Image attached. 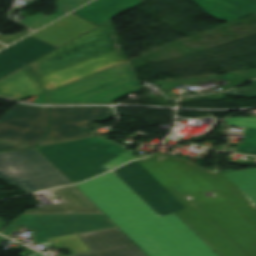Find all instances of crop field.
<instances>
[{"instance_id":"8a807250","label":"crop field","mask_w":256,"mask_h":256,"mask_svg":"<svg viewBox=\"0 0 256 256\" xmlns=\"http://www.w3.org/2000/svg\"><path fill=\"white\" fill-rule=\"evenodd\" d=\"M114 173L157 215L176 212L219 256H256V206L220 173L160 155Z\"/></svg>"},{"instance_id":"ac0d7876","label":"crop field","mask_w":256,"mask_h":256,"mask_svg":"<svg viewBox=\"0 0 256 256\" xmlns=\"http://www.w3.org/2000/svg\"><path fill=\"white\" fill-rule=\"evenodd\" d=\"M76 187L149 256H218L176 213L158 217L111 172Z\"/></svg>"},{"instance_id":"34b2d1b8","label":"crop field","mask_w":256,"mask_h":256,"mask_svg":"<svg viewBox=\"0 0 256 256\" xmlns=\"http://www.w3.org/2000/svg\"><path fill=\"white\" fill-rule=\"evenodd\" d=\"M126 60L109 21L29 65L48 91Z\"/></svg>"},{"instance_id":"412701ff","label":"crop field","mask_w":256,"mask_h":256,"mask_svg":"<svg viewBox=\"0 0 256 256\" xmlns=\"http://www.w3.org/2000/svg\"><path fill=\"white\" fill-rule=\"evenodd\" d=\"M140 88L129 60L48 91V104H111Z\"/></svg>"},{"instance_id":"f4fd0767","label":"crop field","mask_w":256,"mask_h":256,"mask_svg":"<svg viewBox=\"0 0 256 256\" xmlns=\"http://www.w3.org/2000/svg\"><path fill=\"white\" fill-rule=\"evenodd\" d=\"M36 149L72 184L108 171L101 166L125 150L96 137Z\"/></svg>"},{"instance_id":"dd49c442","label":"crop field","mask_w":256,"mask_h":256,"mask_svg":"<svg viewBox=\"0 0 256 256\" xmlns=\"http://www.w3.org/2000/svg\"><path fill=\"white\" fill-rule=\"evenodd\" d=\"M0 180L29 193L71 184L36 149L0 153Z\"/></svg>"},{"instance_id":"e52e79f7","label":"crop field","mask_w":256,"mask_h":256,"mask_svg":"<svg viewBox=\"0 0 256 256\" xmlns=\"http://www.w3.org/2000/svg\"><path fill=\"white\" fill-rule=\"evenodd\" d=\"M107 218L103 214L22 215L1 234L8 236L24 227L34 233L36 243H43L55 237L115 228Z\"/></svg>"},{"instance_id":"d8731c3e","label":"crop field","mask_w":256,"mask_h":256,"mask_svg":"<svg viewBox=\"0 0 256 256\" xmlns=\"http://www.w3.org/2000/svg\"><path fill=\"white\" fill-rule=\"evenodd\" d=\"M50 132L38 145L71 141L94 135L85 127L87 123L114 118L111 107H49Z\"/></svg>"},{"instance_id":"5a996713","label":"crop field","mask_w":256,"mask_h":256,"mask_svg":"<svg viewBox=\"0 0 256 256\" xmlns=\"http://www.w3.org/2000/svg\"><path fill=\"white\" fill-rule=\"evenodd\" d=\"M48 109L19 104L0 122V140L33 147L47 132Z\"/></svg>"},{"instance_id":"3316defc","label":"crop field","mask_w":256,"mask_h":256,"mask_svg":"<svg viewBox=\"0 0 256 256\" xmlns=\"http://www.w3.org/2000/svg\"><path fill=\"white\" fill-rule=\"evenodd\" d=\"M78 236L90 251L69 256H146L118 228Z\"/></svg>"},{"instance_id":"28ad6ade","label":"crop field","mask_w":256,"mask_h":256,"mask_svg":"<svg viewBox=\"0 0 256 256\" xmlns=\"http://www.w3.org/2000/svg\"><path fill=\"white\" fill-rule=\"evenodd\" d=\"M57 47L32 36L0 51V78Z\"/></svg>"},{"instance_id":"d1516ede","label":"crop field","mask_w":256,"mask_h":256,"mask_svg":"<svg viewBox=\"0 0 256 256\" xmlns=\"http://www.w3.org/2000/svg\"><path fill=\"white\" fill-rule=\"evenodd\" d=\"M96 27L71 14L32 36L59 47Z\"/></svg>"},{"instance_id":"22f410ed","label":"crop field","mask_w":256,"mask_h":256,"mask_svg":"<svg viewBox=\"0 0 256 256\" xmlns=\"http://www.w3.org/2000/svg\"><path fill=\"white\" fill-rule=\"evenodd\" d=\"M43 93L36 77L27 66L0 79V97L22 101Z\"/></svg>"},{"instance_id":"cbeb9de0","label":"crop field","mask_w":256,"mask_h":256,"mask_svg":"<svg viewBox=\"0 0 256 256\" xmlns=\"http://www.w3.org/2000/svg\"><path fill=\"white\" fill-rule=\"evenodd\" d=\"M64 203L27 211L24 214L101 213L74 186L47 192Z\"/></svg>"},{"instance_id":"5142ce71","label":"crop field","mask_w":256,"mask_h":256,"mask_svg":"<svg viewBox=\"0 0 256 256\" xmlns=\"http://www.w3.org/2000/svg\"><path fill=\"white\" fill-rule=\"evenodd\" d=\"M140 3H143V1L96 0L73 13L100 26Z\"/></svg>"},{"instance_id":"d9b57169","label":"crop field","mask_w":256,"mask_h":256,"mask_svg":"<svg viewBox=\"0 0 256 256\" xmlns=\"http://www.w3.org/2000/svg\"><path fill=\"white\" fill-rule=\"evenodd\" d=\"M210 15L232 22L256 12L255 0H192Z\"/></svg>"},{"instance_id":"733c2abd","label":"crop field","mask_w":256,"mask_h":256,"mask_svg":"<svg viewBox=\"0 0 256 256\" xmlns=\"http://www.w3.org/2000/svg\"><path fill=\"white\" fill-rule=\"evenodd\" d=\"M222 175L240 187L246 196L256 205V168L224 173Z\"/></svg>"},{"instance_id":"4a817a6b","label":"crop field","mask_w":256,"mask_h":256,"mask_svg":"<svg viewBox=\"0 0 256 256\" xmlns=\"http://www.w3.org/2000/svg\"><path fill=\"white\" fill-rule=\"evenodd\" d=\"M50 242L58 249H68L70 254L85 251L73 236L51 239Z\"/></svg>"},{"instance_id":"bc2a9ffb","label":"crop field","mask_w":256,"mask_h":256,"mask_svg":"<svg viewBox=\"0 0 256 256\" xmlns=\"http://www.w3.org/2000/svg\"><path fill=\"white\" fill-rule=\"evenodd\" d=\"M245 132L247 133V137L244 140L245 142L242 143L238 149L225 150L256 155V129L245 128Z\"/></svg>"},{"instance_id":"214f88e0","label":"crop field","mask_w":256,"mask_h":256,"mask_svg":"<svg viewBox=\"0 0 256 256\" xmlns=\"http://www.w3.org/2000/svg\"><path fill=\"white\" fill-rule=\"evenodd\" d=\"M54 19H56V13H54L50 16H45L41 13H37L29 18H26V19L20 21V22L27 25L30 29L36 30V29L48 24L49 22H51Z\"/></svg>"},{"instance_id":"92a150f3","label":"crop field","mask_w":256,"mask_h":256,"mask_svg":"<svg viewBox=\"0 0 256 256\" xmlns=\"http://www.w3.org/2000/svg\"><path fill=\"white\" fill-rule=\"evenodd\" d=\"M135 154H136L135 151L126 150L123 153H121L120 155H118L117 157H115L113 160H111L110 162L105 164L103 167L111 170V169L121 165L124 162L130 161L132 159H137V157L134 156Z\"/></svg>"},{"instance_id":"dafd665d","label":"crop field","mask_w":256,"mask_h":256,"mask_svg":"<svg viewBox=\"0 0 256 256\" xmlns=\"http://www.w3.org/2000/svg\"><path fill=\"white\" fill-rule=\"evenodd\" d=\"M88 0H56L57 17L67 13L68 10L86 2Z\"/></svg>"},{"instance_id":"00972430","label":"crop field","mask_w":256,"mask_h":256,"mask_svg":"<svg viewBox=\"0 0 256 256\" xmlns=\"http://www.w3.org/2000/svg\"><path fill=\"white\" fill-rule=\"evenodd\" d=\"M224 122L231 125L256 128V118H230L224 120Z\"/></svg>"},{"instance_id":"a9b5d70f","label":"crop field","mask_w":256,"mask_h":256,"mask_svg":"<svg viewBox=\"0 0 256 256\" xmlns=\"http://www.w3.org/2000/svg\"><path fill=\"white\" fill-rule=\"evenodd\" d=\"M252 82H253V86L233 89L226 93H229L235 96H246L250 98L256 97V81H252ZM232 91H235L236 93H232Z\"/></svg>"},{"instance_id":"4177f3b9","label":"crop field","mask_w":256,"mask_h":256,"mask_svg":"<svg viewBox=\"0 0 256 256\" xmlns=\"http://www.w3.org/2000/svg\"><path fill=\"white\" fill-rule=\"evenodd\" d=\"M31 32L30 30H27L23 33H18V34H15L13 36H9V37H5L3 35H0V41L4 42L5 44H9L21 37H23L24 35H26L27 33Z\"/></svg>"},{"instance_id":"730fd06b","label":"crop field","mask_w":256,"mask_h":256,"mask_svg":"<svg viewBox=\"0 0 256 256\" xmlns=\"http://www.w3.org/2000/svg\"><path fill=\"white\" fill-rule=\"evenodd\" d=\"M20 148H29V147L10 144V143L0 141V151H8V150H14V149H20Z\"/></svg>"},{"instance_id":"eef30255","label":"crop field","mask_w":256,"mask_h":256,"mask_svg":"<svg viewBox=\"0 0 256 256\" xmlns=\"http://www.w3.org/2000/svg\"><path fill=\"white\" fill-rule=\"evenodd\" d=\"M74 237H75V239L84 247V249H85L86 251H88L87 247H86V246L84 245V243L79 239V237H78L77 235H75Z\"/></svg>"},{"instance_id":"ae1a2a85","label":"crop field","mask_w":256,"mask_h":256,"mask_svg":"<svg viewBox=\"0 0 256 256\" xmlns=\"http://www.w3.org/2000/svg\"><path fill=\"white\" fill-rule=\"evenodd\" d=\"M5 225H6V223L0 221V229H1L3 226H5Z\"/></svg>"},{"instance_id":"d3111659","label":"crop field","mask_w":256,"mask_h":256,"mask_svg":"<svg viewBox=\"0 0 256 256\" xmlns=\"http://www.w3.org/2000/svg\"><path fill=\"white\" fill-rule=\"evenodd\" d=\"M4 47L2 44H0V48Z\"/></svg>"},{"instance_id":"750c4746","label":"crop field","mask_w":256,"mask_h":256,"mask_svg":"<svg viewBox=\"0 0 256 256\" xmlns=\"http://www.w3.org/2000/svg\"><path fill=\"white\" fill-rule=\"evenodd\" d=\"M256 15V13H254Z\"/></svg>"}]
</instances>
